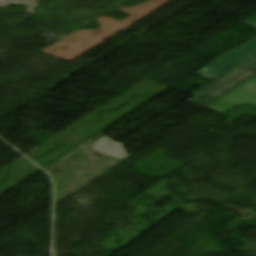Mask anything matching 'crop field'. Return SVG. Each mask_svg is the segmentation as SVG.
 Wrapping results in <instances>:
<instances>
[{
    "instance_id": "crop-field-1",
    "label": "crop field",
    "mask_w": 256,
    "mask_h": 256,
    "mask_svg": "<svg viewBox=\"0 0 256 256\" xmlns=\"http://www.w3.org/2000/svg\"><path fill=\"white\" fill-rule=\"evenodd\" d=\"M256 74V54L199 89L189 102L207 106Z\"/></svg>"
},
{
    "instance_id": "crop-field-2",
    "label": "crop field",
    "mask_w": 256,
    "mask_h": 256,
    "mask_svg": "<svg viewBox=\"0 0 256 256\" xmlns=\"http://www.w3.org/2000/svg\"><path fill=\"white\" fill-rule=\"evenodd\" d=\"M244 23L256 28V15ZM255 53L256 38L211 61L195 74L212 81Z\"/></svg>"
},
{
    "instance_id": "crop-field-3",
    "label": "crop field",
    "mask_w": 256,
    "mask_h": 256,
    "mask_svg": "<svg viewBox=\"0 0 256 256\" xmlns=\"http://www.w3.org/2000/svg\"><path fill=\"white\" fill-rule=\"evenodd\" d=\"M246 103L256 106V77L212 104L207 109L222 114L238 105Z\"/></svg>"
},
{
    "instance_id": "crop-field-4",
    "label": "crop field",
    "mask_w": 256,
    "mask_h": 256,
    "mask_svg": "<svg viewBox=\"0 0 256 256\" xmlns=\"http://www.w3.org/2000/svg\"><path fill=\"white\" fill-rule=\"evenodd\" d=\"M93 147L96 151L103 154L113 156L119 159L125 160L130 155L124 153L126 150L122 149L124 146L112 141L111 139L103 136L96 142H94Z\"/></svg>"
}]
</instances>
